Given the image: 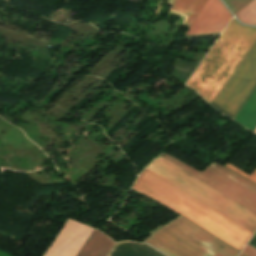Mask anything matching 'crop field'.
Segmentation results:
<instances>
[{"instance_id": "6", "label": "crop field", "mask_w": 256, "mask_h": 256, "mask_svg": "<svg viewBox=\"0 0 256 256\" xmlns=\"http://www.w3.org/2000/svg\"><path fill=\"white\" fill-rule=\"evenodd\" d=\"M256 84V40L253 42L251 47L248 49L246 54L243 56L241 61L238 63L236 68L233 70L231 75L228 77L226 82L223 84L221 89L218 91L216 96L213 98L216 104L222 107L224 110L232 113L237 111L241 103L244 101L248 93L251 91L253 86ZM256 85L249 93L245 101L242 103L238 111L233 116L232 114L224 111L218 105L211 101V105L217 108L223 114L231 117L237 115L239 110L242 108L244 103L247 101L249 96L252 94Z\"/></svg>"}, {"instance_id": "13", "label": "crop field", "mask_w": 256, "mask_h": 256, "mask_svg": "<svg viewBox=\"0 0 256 256\" xmlns=\"http://www.w3.org/2000/svg\"><path fill=\"white\" fill-rule=\"evenodd\" d=\"M250 246L256 249V234L252 238V240L249 242ZM244 249V251L241 253L240 256H256V250L253 249L252 247L248 246Z\"/></svg>"}, {"instance_id": "5", "label": "crop field", "mask_w": 256, "mask_h": 256, "mask_svg": "<svg viewBox=\"0 0 256 256\" xmlns=\"http://www.w3.org/2000/svg\"><path fill=\"white\" fill-rule=\"evenodd\" d=\"M160 157L256 215V186L252 183L214 162L200 173L165 153Z\"/></svg>"}, {"instance_id": "4", "label": "crop field", "mask_w": 256, "mask_h": 256, "mask_svg": "<svg viewBox=\"0 0 256 256\" xmlns=\"http://www.w3.org/2000/svg\"><path fill=\"white\" fill-rule=\"evenodd\" d=\"M146 168L245 227L249 231L253 233L255 232V215L168 163L164 159L159 157Z\"/></svg>"}, {"instance_id": "8", "label": "crop field", "mask_w": 256, "mask_h": 256, "mask_svg": "<svg viewBox=\"0 0 256 256\" xmlns=\"http://www.w3.org/2000/svg\"><path fill=\"white\" fill-rule=\"evenodd\" d=\"M231 17L219 0H208L186 34L222 32Z\"/></svg>"}, {"instance_id": "2", "label": "crop field", "mask_w": 256, "mask_h": 256, "mask_svg": "<svg viewBox=\"0 0 256 256\" xmlns=\"http://www.w3.org/2000/svg\"><path fill=\"white\" fill-rule=\"evenodd\" d=\"M255 37L256 28L232 19L186 85L210 103Z\"/></svg>"}, {"instance_id": "14", "label": "crop field", "mask_w": 256, "mask_h": 256, "mask_svg": "<svg viewBox=\"0 0 256 256\" xmlns=\"http://www.w3.org/2000/svg\"><path fill=\"white\" fill-rule=\"evenodd\" d=\"M223 166H225V167L231 169L232 171L238 173L239 175H241V176H243V177H245V178L251 180L252 182L256 183V169H255V171L249 176V175H247L246 173L242 172L241 170H239V169H237V168H235V167H233V166H231V165H229V164H227V163L224 164Z\"/></svg>"}, {"instance_id": "7", "label": "crop field", "mask_w": 256, "mask_h": 256, "mask_svg": "<svg viewBox=\"0 0 256 256\" xmlns=\"http://www.w3.org/2000/svg\"><path fill=\"white\" fill-rule=\"evenodd\" d=\"M93 228L68 219L44 256H76Z\"/></svg>"}, {"instance_id": "11", "label": "crop field", "mask_w": 256, "mask_h": 256, "mask_svg": "<svg viewBox=\"0 0 256 256\" xmlns=\"http://www.w3.org/2000/svg\"><path fill=\"white\" fill-rule=\"evenodd\" d=\"M235 15L243 23L256 25V0L250 2Z\"/></svg>"}, {"instance_id": "15", "label": "crop field", "mask_w": 256, "mask_h": 256, "mask_svg": "<svg viewBox=\"0 0 256 256\" xmlns=\"http://www.w3.org/2000/svg\"><path fill=\"white\" fill-rule=\"evenodd\" d=\"M173 2H174V0H169L167 3L172 6Z\"/></svg>"}, {"instance_id": "12", "label": "crop field", "mask_w": 256, "mask_h": 256, "mask_svg": "<svg viewBox=\"0 0 256 256\" xmlns=\"http://www.w3.org/2000/svg\"><path fill=\"white\" fill-rule=\"evenodd\" d=\"M231 10L234 12H238L241 8H243L246 4H248L251 0H224Z\"/></svg>"}, {"instance_id": "10", "label": "crop field", "mask_w": 256, "mask_h": 256, "mask_svg": "<svg viewBox=\"0 0 256 256\" xmlns=\"http://www.w3.org/2000/svg\"><path fill=\"white\" fill-rule=\"evenodd\" d=\"M206 2L207 0H176L172 9L189 15L184 24L190 26Z\"/></svg>"}, {"instance_id": "3", "label": "crop field", "mask_w": 256, "mask_h": 256, "mask_svg": "<svg viewBox=\"0 0 256 256\" xmlns=\"http://www.w3.org/2000/svg\"><path fill=\"white\" fill-rule=\"evenodd\" d=\"M145 242L168 256H237L239 253L181 216Z\"/></svg>"}, {"instance_id": "9", "label": "crop field", "mask_w": 256, "mask_h": 256, "mask_svg": "<svg viewBox=\"0 0 256 256\" xmlns=\"http://www.w3.org/2000/svg\"><path fill=\"white\" fill-rule=\"evenodd\" d=\"M116 242L94 229L77 256H107Z\"/></svg>"}, {"instance_id": "1", "label": "crop field", "mask_w": 256, "mask_h": 256, "mask_svg": "<svg viewBox=\"0 0 256 256\" xmlns=\"http://www.w3.org/2000/svg\"><path fill=\"white\" fill-rule=\"evenodd\" d=\"M132 189L165 205L240 251L253 234L148 169L142 171Z\"/></svg>"}]
</instances>
